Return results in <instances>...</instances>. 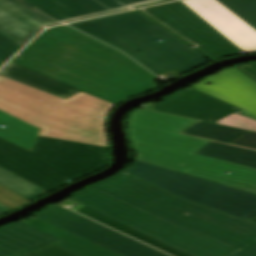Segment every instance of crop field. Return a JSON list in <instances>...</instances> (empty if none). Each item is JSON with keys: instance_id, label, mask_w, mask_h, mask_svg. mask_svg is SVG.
<instances>
[{"instance_id": "obj_28", "label": "crop field", "mask_w": 256, "mask_h": 256, "mask_svg": "<svg viewBox=\"0 0 256 256\" xmlns=\"http://www.w3.org/2000/svg\"><path fill=\"white\" fill-rule=\"evenodd\" d=\"M8 211H10V210L0 204V214H3Z\"/></svg>"}, {"instance_id": "obj_26", "label": "crop field", "mask_w": 256, "mask_h": 256, "mask_svg": "<svg viewBox=\"0 0 256 256\" xmlns=\"http://www.w3.org/2000/svg\"><path fill=\"white\" fill-rule=\"evenodd\" d=\"M233 145L242 146L256 150V133L250 132L241 139L233 143Z\"/></svg>"}, {"instance_id": "obj_13", "label": "crop field", "mask_w": 256, "mask_h": 256, "mask_svg": "<svg viewBox=\"0 0 256 256\" xmlns=\"http://www.w3.org/2000/svg\"><path fill=\"white\" fill-rule=\"evenodd\" d=\"M212 83L209 86L205 83ZM192 87L241 108L242 114L256 119V83L228 68L204 78Z\"/></svg>"}, {"instance_id": "obj_5", "label": "crop field", "mask_w": 256, "mask_h": 256, "mask_svg": "<svg viewBox=\"0 0 256 256\" xmlns=\"http://www.w3.org/2000/svg\"><path fill=\"white\" fill-rule=\"evenodd\" d=\"M70 26L127 53L156 75L172 70L184 74L207 63L187 45L137 11Z\"/></svg>"}, {"instance_id": "obj_1", "label": "crop field", "mask_w": 256, "mask_h": 256, "mask_svg": "<svg viewBox=\"0 0 256 256\" xmlns=\"http://www.w3.org/2000/svg\"><path fill=\"white\" fill-rule=\"evenodd\" d=\"M69 198L193 256H256V223L168 194L132 175Z\"/></svg>"}, {"instance_id": "obj_7", "label": "crop field", "mask_w": 256, "mask_h": 256, "mask_svg": "<svg viewBox=\"0 0 256 256\" xmlns=\"http://www.w3.org/2000/svg\"><path fill=\"white\" fill-rule=\"evenodd\" d=\"M166 0H0V33L24 46L43 28Z\"/></svg>"}, {"instance_id": "obj_17", "label": "crop field", "mask_w": 256, "mask_h": 256, "mask_svg": "<svg viewBox=\"0 0 256 256\" xmlns=\"http://www.w3.org/2000/svg\"><path fill=\"white\" fill-rule=\"evenodd\" d=\"M84 216H87L95 221H98L108 227H111L119 232H122L130 237H133L141 242H144L152 247H155L163 252H166L172 256H190V255H187L177 249H174L166 244H163L153 238H150L140 232H137L115 220H112L88 207H84L78 211H76Z\"/></svg>"}, {"instance_id": "obj_4", "label": "crop field", "mask_w": 256, "mask_h": 256, "mask_svg": "<svg viewBox=\"0 0 256 256\" xmlns=\"http://www.w3.org/2000/svg\"><path fill=\"white\" fill-rule=\"evenodd\" d=\"M113 107L83 92L63 100L0 76V109L41 128L40 136L106 147L104 120Z\"/></svg>"}, {"instance_id": "obj_21", "label": "crop field", "mask_w": 256, "mask_h": 256, "mask_svg": "<svg viewBox=\"0 0 256 256\" xmlns=\"http://www.w3.org/2000/svg\"><path fill=\"white\" fill-rule=\"evenodd\" d=\"M228 9L256 29V0H219Z\"/></svg>"}, {"instance_id": "obj_19", "label": "crop field", "mask_w": 256, "mask_h": 256, "mask_svg": "<svg viewBox=\"0 0 256 256\" xmlns=\"http://www.w3.org/2000/svg\"><path fill=\"white\" fill-rule=\"evenodd\" d=\"M249 131L200 122L182 132L231 144Z\"/></svg>"}, {"instance_id": "obj_3", "label": "crop field", "mask_w": 256, "mask_h": 256, "mask_svg": "<svg viewBox=\"0 0 256 256\" xmlns=\"http://www.w3.org/2000/svg\"><path fill=\"white\" fill-rule=\"evenodd\" d=\"M194 122L137 108L128 119L136 159L256 194V169L195 154L210 141L179 134Z\"/></svg>"}, {"instance_id": "obj_9", "label": "crop field", "mask_w": 256, "mask_h": 256, "mask_svg": "<svg viewBox=\"0 0 256 256\" xmlns=\"http://www.w3.org/2000/svg\"><path fill=\"white\" fill-rule=\"evenodd\" d=\"M33 216L123 256H167L57 204Z\"/></svg>"}, {"instance_id": "obj_14", "label": "crop field", "mask_w": 256, "mask_h": 256, "mask_svg": "<svg viewBox=\"0 0 256 256\" xmlns=\"http://www.w3.org/2000/svg\"><path fill=\"white\" fill-rule=\"evenodd\" d=\"M60 240L20 222L0 229V256H25L20 252Z\"/></svg>"}, {"instance_id": "obj_20", "label": "crop field", "mask_w": 256, "mask_h": 256, "mask_svg": "<svg viewBox=\"0 0 256 256\" xmlns=\"http://www.w3.org/2000/svg\"><path fill=\"white\" fill-rule=\"evenodd\" d=\"M0 184L30 201L45 194L43 193L45 192L44 190L24 181L23 179L1 168Z\"/></svg>"}, {"instance_id": "obj_16", "label": "crop field", "mask_w": 256, "mask_h": 256, "mask_svg": "<svg viewBox=\"0 0 256 256\" xmlns=\"http://www.w3.org/2000/svg\"><path fill=\"white\" fill-rule=\"evenodd\" d=\"M7 126L5 129L0 127V137L32 150L39 128L26 123L14 116L0 110V126Z\"/></svg>"}, {"instance_id": "obj_2", "label": "crop field", "mask_w": 256, "mask_h": 256, "mask_svg": "<svg viewBox=\"0 0 256 256\" xmlns=\"http://www.w3.org/2000/svg\"><path fill=\"white\" fill-rule=\"evenodd\" d=\"M0 75L63 99L83 91L114 105L158 88L123 53L67 26L41 34Z\"/></svg>"}, {"instance_id": "obj_8", "label": "crop field", "mask_w": 256, "mask_h": 256, "mask_svg": "<svg viewBox=\"0 0 256 256\" xmlns=\"http://www.w3.org/2000/svg\"><path fill=\"white\" fill-rule=\"evenodd\" d=\"M171 194L216 210L249 218L256 213V195L213 184L135 160L126 171Z\"/></svg>"}, {"instance_id": "obj_11", "label": "crop field", "mask_w": 256, "mask_h": 256, "mask_svg": "<svg viewBox=\"0 0 256 256\" xmlns=\"http://www.w3.org/2000/svg\"><path fill=\"white\" fill-rule=\"evenodd\" d=\"M146 109L209 123L240 110L192 87Z\"/></svg>"}, {"instance_id": "obj_15", "label": "crop field", "mask_w": 256, "mask_h": 256, "mask_svg": "<svg viewBox=\"0 0 256 256\" xmlns=\"http://www.w3.org/2000/svg\"><path fill=\"white\" fill-rule=\"evenodd\" d=\"M31 217L21 220V222L47 232L65 241L56 246L64 248L80 256H121L69 232L59 229L53 225L43 222L37 218L33 219Z\"/></svg>"}, {"instance_id": "obj_18", "label": "crop field", "mask_w": 256, "mask_h": 256, "mask_svg": "<svg viewBox=\"0 0 256 256\" xmlns=\"http://www.w3.org/2000/svg\"><path fill=\"white\" fill-rule=\"evenodd\" d=\"M198 154L256 168V151L211 141Z\"/></svg>"}, {"instance_id": "obj_12", "label": "crop field", "mask_w": 256, "mask_h": 256, "mask_svg": "<svg viewBox=\"0 0 256 256\" xmlns=\"http://www.w3.org/2000/svg\"><path fill=\"white\" fill-rule=\"evenodd\" d=\"M186 6L245 53L256 50V30L217 0H182Z\"/></svg>"}, {"instance_id": "obj_6", "label": "crop field", "mask_w": 256, "mask_h": 256, "mask_svg": "<svg viewBox=\"0 0 256 256\" xmlns=\"http://www.w3.org/2000/svg\"><path fill=\"white\" fill-rule=\"evenodd\" d=\"M107 164L105 147L38 136L30 152L0 138V167L47 192Z\"/></svg>"}, {"instance_id": "obj_29", "label": "crop field", "mask_w": 256, "mask_h": 256, "mask_svg": "<svg viewBox=\"0 0 256 256\" xmlns=\"http://www.w3.org/2000/svg\"><path fill=\"white\" fill-rule=\"evenodd\" d=\"M248 220L256 222V214L254 216H252L251 218H249Z\"/></svg>"}, {"instance_id": "obj_25", "label": "crop field", "mask_w": 256, "mask_h": 256, "mask_svg": "<svg viewBox=\"0 0 256 256\" xmlns=\"http://www.w3.org/2000/svg\"><path fill=\"white\" fill-rule=\"evenodd\" d=\"M22 47L13 43L6 37L0 34V61L5 62L10 58L15 52H17Z\"/></svg>"}, {"instance_id": "obj_27", "label": "crop field", "mask_w": 256, "mask_h": 256, "mask_svg": "<svg viewBox=\"0 0 256 256\" xmlns=\"http://www.w3.org/2000/svg\"><path fill=\"white\" fill-rule=\"evenodd\" d=\"M233 68L256 82V63L236 65Z\"/></svg>"}, {"instance_id": "obj_10", "label": "crop field", "mask_w": 256, "mask_h": 256, "mask_svg": "<svg viewBox=\"0 0 256 256\" xmlns=\"http://www.w3.org/2000/svg\"><path fill=\"white\" fill-rule=\"evenodd\" d=\"M144 10L216 59L241 51L180 1Z\"/></svg>"}, {"instance_id": "obj_24", "label": "crop field", "mask_w": 256, "mask_h": 256, "mask_svg": "<svg viewBox=\"0 0 256 256\" xmlns=\"http://www.w3.org/2000/svg\"><path fill=\"white\" fill-rule=\"evenodd\" d=\"M23 254L27 256H78L64 249L58 248L52 244Z\"/></svg>"}, {"instance_id": "obj_23", "label": "crop field", "mask_w": 256, "mask_h": 256, "mask_svg": "<svg viewBox=\"0 0 256 256\" xmlns=\"http://www.w3.org/2000/svg\"><path fill=\"white\" fill-rule=\"evenodd\" d=\"M26 202H28V200L0 185V203L2 205L12 210Z\"/></svg>"}, {"instance_id": "obj_22", "label": "crop field", "mask_w": 256, "mask_h": 256, "mask_svg": "<svg viewBox=\"0 0 256 256\" xmlns=\"http://www.w3.org/2000/svg\"><path fill=\"white\" fill-rule=\"evenodd\" d=\"M214 124L241 128L256 132V120L238 113H233L215 122Z\"/></svg>"}, {"instance_id": "obj_30", "label": "crop field", "mask_w": 256, "mask_h": 256, "mask_svg": "<svg viewBox=\"0 0 256 256\" xmlns=\"http://www.w3.org/2000/svg\"><path fill=\"white\" fill-rule=\"evenodd\" d=\"M3 63L0 62V66L2 65Z\"/></svg>"}]
</instances>
